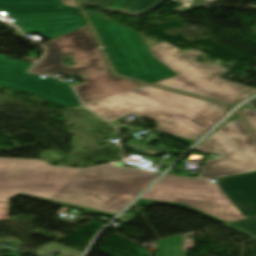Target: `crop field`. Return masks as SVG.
I'll return each mask as SVG.
<instances>
[{"label": "crop field", "mask_w": 256, "mask_h": 256, "mask_svg": "<svg viewBox=\"0 0 256 256\" xmlns=\"http://www.w3.org/2000/svg\"><path fill=\"white\" fill-rule=\"evenodd\" d=\"M159 175L110 164L69 169L44 160L0 157V202L28 195L114 217Z\"/></svg>", "instance_id": "1"}, {"label": "crop field", "mask_w": 256, "mask_h": 256, "mask_svg": "<svg viewBox=\"0 0 256 256\" xmlns=\"http://www.w3.org/2000/svg\"><path fill=\"white\" fill-rule=\"evenodd\" d=\"M85 105L115 126L121 125L119 118L130 114L155 119L158 127L154 131L176 136V139L190 146L227 109L216 103L149 85Z\"/></svg>", "instance_id": "2"}, {"label": "crop field", "mask_w": 256, "mask_h": 256, "mask_svg": "<svg viewBox=\"0 0 256 256\" xmlns=\"http://www.w3.org/2000/svg\"><path fill=\"white\" fill-rule=\"evenodd\" d=\"M216 181L165 176L135 204L168 203L221 223L256 215V172Z\"/></svg>", "instance_id": "3"}, {"label": "crop field", "mask_w": 256, "mask_h": 256, "mask_svg": "<svg viewBox=\"0 0 256 256\" xmlns=\"http://www.w3.org/2000/svg\"><path fill=\"white\" fill-rule=\"evenodd\" d=\"M150 51L162 63L178 73L175 77L154 84L221 100L231 105L256 91L255 88L218 78L227 72L220 66L194 62V58L202 53L190 51L184 55L165 42H161Z\"/></svg>", "instance_id": "4"}, {"label": "crop field", "mask_w": 256, "mask_h": 256, "mask_svg": "<svg viewBox=\"0 0 256 256\" xmlns=\"http://www.w3.org/2000/svg\"><path fill=\"white\" fill-rule=\"evenodd\" d=\"M88 13L118 74L151 83L177 75L151 55L139 33Z\"/></svg>", "instance_id": "5"}, {"label": "crop field", "mask_w": 256, "mask_h": 256, "mask_svg": "<svg viewBox=\"0 0 256 256\" xmlns=\"http://www.w3.org/2000/svg\"><path fill=\"white\" fill-rule=\"evenodd\" d=\"M195 149L222 153L219 160H207L199 177L217 178L256 170V143L238 114L231 116Z\"/></svg>", "instance_id": "6"}, {"label": "crop field", "mask_w": 256, "mask_h": 256, "mask_svg": "<svg viewBox=\"0 0 256 256\" xmlns=\"http://www.w3.org/2000/svg\"><path fill=\"white\" fill-rule=\"evenodd\" d=\"M46 52L31 72L49 75L55 71L82 77L100 70L108 69V66L98 50L94 38L85 26L79 30L62 35L52 41L42 44ZM72 56L79 61L77 65L69 68L61 61L65 56Z\"/></svg>", "instance_id": "7"}, {"label": "crop field", "mask_w": 256, "mask_h": 256, "mask_svg": "<svg viewBox=\"0 0 256 256\" xmlns=\"http://www.w3.org/2000/svg\"><path fill=\"white\" fill-rule=\"evenodd\" d=\"M33 64L8 59L0 54V84L33 93L65 107L80 104L68 84L51 77L42 79L39 75L27 73Z\"/></svg>", "instance_id": "8"}, {"label": "crop field", "mask_w": 256, "mask_h": 256, "mask_svg": "<svg viewBox=\"0 0 256 256\" xmlns=\"http://www.w3.org/2000/svg\"><path fill=\"white\" fill-rule=\"evenodd\" d=\"M82 79L84 83L73 87L83 104L145 85L118 78L109 69L82 77Z\"/></svg>", "instance_id": "9"}, {"label": "crop field", "mask_w": 256, "mask_h": 256, "mask_svg": "<svg viewBox=\"0 0 256 256\" xmlns=\"http://www.w3.org/2000/svg\"><path fill=\"white\" fill-rule=\"evenodd\" d=\"M15 19L17 22H14V24L19 26L26 35L38 32L50 40L86 25L82 15H56Z\"/></svg>", "instance_id": "10"}, {"label": "crop field", "mask_w": 256, "mask_h": 256, "mask_svg": "<svg viewBox=\"0 0 256 256\" xmlns=\"http://www.w3.org/2000/svg\"><path fill=\"white\" fill-rule=\"evenodd\" d=\"M56 14H81L80 9L64 6L61 0H0V16L31 17Z\"/></svg>", "instance_id": "11"}, {"label": "crop field", "mask_w": 256, "mask_h": 256, "mask_svg": "<svg viewBox=\"0 0 256 256\" xmlns=\"http://www.w3.org/2000/svg\"><path fill=\"white\" fill-rule=\"evenodd\" d=\"M165 0H113L102 10H115L130 16H140L156 9Z\"/></svg>", "instance_id": "12"}, {"label": "crop field", "mask_w": 256, "mask_h": 256, "mask_svg": "<svg viewBox=\"0 0 256 256\" xmlns=\"http://www.w3.org/2000/svg\"><path fill=\"white\" fill-rule=\"evenodd\" d=\"M183 235L159 241L158 256H187L182 252Z\"/></svg>", "instance_id": "13"}, {"label": "crop field", "mask_w": 256, "mask_h": 256, "mask_svg": "<svg viewBox=\"0 0 256 256\" xmlns=\"http://www.w3.org/2000/svg\"><path fill=\"white\" fill-rule=\"evenodd\" d=\"M223 225L256 239V216Z\"/></svg>", "instance_id": "14"}, {"label": "crop field", "mask_w": 256, "mask_h": 256, "mask_svg": "<svg viewBox=\"0 0 256 256\" xmlns=\"http://www.w3.org/2000/svg\"><path fill=\"white\" fill-rule=\"evenodd\" d=\"M241 111L244 113L245 117L256 133V112L249 108H244Z\"/></svg>", "instance_id": "15"}, {"label": "crop field", "mask_w": 256, "mask_h": 256, "mask_svg": "<svg viewBox=\"0 0 256 256\" xmlns=\"http://www.w3.org/2000/svg\"><path fill=\"white\" fill-rule=\"evenodd\" d=\"M83 4L85 5H91V6H97L102 7L106 4H108L112 0H81ZM111 3V2H110ZM107 6V5H106Z\"/></svg>", "instance_id": "16"}, {"label": "crop field", "mask_w": 256, "mask_h": 256, "mask_svg": "<svg viewBox=\"0 0 256 256\" xmlns=\"http://www.w3.org/2000/svg\"><path fill=\"white\" fill-rule=\"evenodd\" d=\"M9 203H0V220H7Z\"/></svg>", "instance_id": "17"}, {"label": "crop field", "mask_w": 256, "mask_h": 256, "mask_svg": "<svg viewBox=\"0 0 256 256\" xmlns=\"http://www.w3.org/2000/svg\"><path fill=\"white\" fill-rule=\"evenodd\" d=\"M187 238V234L184 235V242H183V251L186 249L193 248V241H186L185 239Z\"/></svg>", "instance_id": "18"}, {"label": "crop field", "mask_w": 256, "mask_h": 256, "mask_svg": "<svg viewBox=\"0 0 256 256\" xmlns=\"http://www.w3.org/2000/svg\"><path fill=\"white\" fill-rule=\"evenodd\" d=\"M62 3L64 5H68V6L79 8L75 0H62Z\"/></svg>", "instance_id": "19"}]
</instances>
